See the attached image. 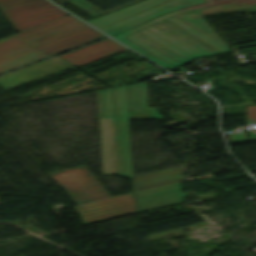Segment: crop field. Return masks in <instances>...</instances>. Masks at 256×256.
I'll return each instance as SVG.
<instances>
[{"label": "crop field", "instance_id": "6", "mask_svg": "<svg viewBox=\"0 0 256 256\" xmlns=\"http://www.w3.org/2000/svg\"><path fill=\"white\" fill-rule=\"evenodd\" d=\"M49 175L77 205L110 197L84 166Z\"/></svg>", "mask_w": 256, "mask_h": 256}, {"label": "crop field", "instance_id": "4", "mask_svg": "<svg viewBox=\"0 0 256 256\" xmlns=\"http://www.w3.org/2000/svg\"><path fill=\"white\" fill-rule=\"evenodd\" d=\"M201 2L205 1L145 0L88 22L113 36L161 13Z\"/></svg>", "mask_w": 256, "mask_h": 256}, {"label": "crop field", "instance_id": "1", "mask_svg": "<svg viewBox=\"0 0 256 256\" xmlns=\"http://www.w3.org/2000/svg\"><path fill=\"white\" fill-rule=\"evenodd\" d=\"M229 12H256V4L184 9L162 15L113 38L170 69L193 58L229 52L216 33L199 18Z\"/></svg>", "mask_w": 256, "mask_h": 256}, {"label": "crop field", "instance_id": "2", "mask_svg": "<svg viewBox=\"0 0 256 256\" xmlns=\"http://www.w3.org/2000/svg\"><path fill=\"white\" fill-rule=\"evenodd\" d=\"M105 36L65 17L0 39V74Z\"/></svg>", "mask_w": 256, "mask_h": 256}, {"label": "crop field", "instance_id": "14", "mask_svg": "<svg viewBox=\"0 0 256 256\" xmlns=\"http://www.w3.org/2000/svg\"><path fill=\"white\" fill-rule=\"evenodd\" d=\"M247 122H256V106H246Z\"/></svg>", "mask_w": 256, "mask_h": 256}, {"label": "crop field", "instance_id": "10", "mask_svg": "<svg viewBox=\"0 0 256 256\" xmlns=\"http://www.w3.org/2000/svg\"><path fill=\"white\" fill-rule=\"evenodd\" d=\"M125 50L128 49L108 38L97 44L62 55L61 57L75 64L76 66L81 67Z\"/></svg>", "mask_w": 256, "mask_h": 256}, {"label": "crop field", "instance_id": "9", "mask_svg": "<svg viewBox=\"0 0 256 256\" xmlns=\"http://www.w3.org/2000/svg\"><path fill=\"white\" fill-rule=\"evenodd\" d=\"M98 92L103 174H115L110 89Z\"/></svg>", "mask_w": 256, "mask_h": 256}, {"label": "crop field", "instance_id": "15", "mask_svg": "<svg viewBox=\"0 0 256 256\" xmlns=\"http://www.w3.org/2000/svg\"><path fill=\"white\" fill-rule=\"evenodd\" d=\"M241 135H242V140H243V142H247L246 135H245L244 133H241ZM228 138H229V142H230V143H233V142H232L231 135H228Z\"/></svg>", "mask_w": 256, "mask_h": 256}, {"label": "crop field", "instance_id": "7", "mask_svg": "<svg viewBox=\"0 0 256 256\" xmlns=\"http://www.w3.org/2000/svg\"><path fill=\"white\" fill-rule=\"evenodd\" d=\"M85 225L136 213L134 195H126L75 208Z\"/></svg>", "mask_w": 256, "mask_h": 256}, {"label": "crop field", "instance_id": "3", "mask_svg": "<svg viewBox=\"0 0 256 256\" xmlns=\"http://www.w3.org/2000/svg\"><path fill=\"white\" fill-rule=\"evenodd\" d=\"M145 83L111 89L118 174L131 179L127 107H147Z\"/></svg>", "mask_w": 256, "mask_h": 256}, {"label": "crop field", "instance_id": "5", "mask_svg": "<svg viewBox=\"0 0 256 256\" xmlns=\"http://www.w3.org/2000/svg\"><path fill=\"white\" fill-rule=\"evenodd\" d=\"M0 7L17 31L67 14L47 0H0Z\"/></svg>", "mask_w": 256, "mask_h": 256}, {"label": "crop field", "instance_id": "16", "mask_svg": "<svg viewBox=\"0 0 256 256\" xmlns=\"http://www.w3.org/2000/svg\"><path fill=\"white\" fill-rule=\"evenodd\" d=\"M249 141H254L256 140V135H248Z\"/></svg>", "mask_w": 256, "mask_h": 256}, {"label": "crop field", "instance_id": "11", "mask_svg": "<svg viewBox=\"0 0 256 256\" xmlns=\"http://www.w3.org/2000/svg\"><path fill=\"white\" fill-rule=\"evenodd\" d=\"M135 194L140 212L184 202L183 196L185 195L180 190V183L141 191Z\"/></svg>", "mask_w": 256, "mask_h": 256}, {"label": "crop field", "instance_id": "13", "mask_svg": "<svg viewBox=\"0 0 256 256\" xmlns=\"http://www.w3.org/2000/svg\"><path fill=\"white\" fill-rule=\"evenodd\" d=\"M209 2L200 4L194 7H201V6H209V5H219V4H226V3H256V0H208ZM192 8V7H190Z\"/></svg>", "mask_w": 256, "mask_h": 256}, {"label": "crop field", "instance_id": "8", "mask_svg": "<svg viewBox=\"0 0 256 256\" xmlns=\"http://www.w3.org/2000/svg\"><path fill=\"white\" fill-rule=\"evenodd\" d=\"M73 67L56 57L0 76V86L8 90L33 80Z\"/></svg>", "mask_w": 256, "mask_h": 256}, {"label": "crop field", "instance_id": "12", "mask_svg": "<svg viewBox=\"0 0 256 256\" xmlns=\"http://www.w3.org/2000/svg\"><path fill=\"white\" fill-rule=\"evenodd\" d=\"M182 171V170H181ZM179 167L133 178L134 191L178 182L182 178Z\"/></svg>", "mask_w": 256, "mask_h": 256}]
</instances>
